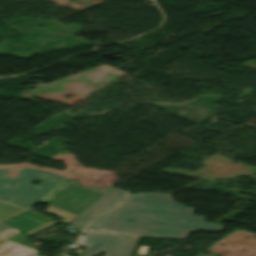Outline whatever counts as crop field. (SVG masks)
I'll return each instance as SVG.
<instances>
[{"label":"crop field","instance_id":"crop-field-3","mask_svg":"<svg viewBox=\"0 0 256 256\" xmlns=\"http://www.w3.org/2000/svg\"><path fill=\"white\" fill-rule=\"evenodd\" d=\"M109 188L79 187L76 182L65 180L40 201L50 203L46 212L66 219L61 220L64 223H70Z\"/></svg>","mask_w":256,"mask_h":256},{"label":"crop field","instance_id":"crop-field-4","mask_svg":"<svg viewBox=\"0 0 256 256\" xmlns=\"http://www.w3.org/2000/svg\"><path fill=\"white\" fill-rule=\"evenodd\" d=\"M78 243L86 247L83 256L104 253V256H131L139 237L108 234L100 232H83Z\"/></svg>","mask_w":256,"mask_h":256},{"label":"crop field","instance_id":"crop-field-7","mask_svg":"<svg viewBox=\"0 0 256 256\" xmlns=\"http://www.w3.org/2000/svg\"><path fill=\"white\" fill-rule=\"evenodd\" d=\"M35 253H37V250L24 247L9 241L0 245V256H31Z\"/></svg>","mask_w":256,"mask_h":256},{"label":"crop field","instance_id":"crop-field-8","mask_svg":"<svg viewBox=\"0 0 256 256\" xmlns=\"http://www.w3.org/2000/svg\"><path fill=\"white\" fill-rule=\"evenodd\" d=\"M23 211L25 210L22 208L6 203H0V222H3Z\"/></svg>","mask_w":256,"mask_h":256},{"label":"crop field","instance_id":"crop-field-10","mask_svg":"<svg viewBox=\"0 0 256 256\" xmlns=\"http://www.w3.org/2000/svg\"><path fill=\"white\" fill-rule=\"evenodd\" d=\"M8 228H10V227H8V226H6V225L0 223V232L6 230V229H8Z\"/></svg>","mask_w":256,"mask_h":256},{"label":"crop field","instance_id":"crop-field-5","mask_svg":"<svg viewBox=\"0 0 256 256\" xmlns=\"http://www.w3.org/2000/svg\"><path fill=\"white\" fill-rule=\"evenodd\" d=\"M125 193L126 191L111 187L75 220H73L71 224L84 229Z\"/></svg>","mask_w":256,"mask_h":256},{"label":"crop field","instance_id":"crop-field-9","mask_svg":"<svg viewBox=\"0 0 256 256\" xmlns=\"http://www.w3.org/2000/svg\"><path fill=\"white\" fill-rule=\"evenodd\" d=\"M18 232H20V231L11 228V229H9V230H7V231L1 233V234H0V242L3 241V240H5L6 238H8V237H10V236H12V235L18 233ZM20 233H21V232H20ZM18 234H19V233H18ZM16 235H17V234H16ZM14 236H15V235H14ZM12 237H13V236H12ZM10 238H11V237H10ZM8 239H9V238H8ZM6 240H7V239H6Z\"/></svg>","mask_w":256,"mask_h":256},{"label":"crop field","instance_id":"crop-field-2","mask_svg":"<svg viewBox=\"0 0 256 256\" xmlns=\"http://www.w3.org/2000/svg\"><path fill=\"white\" fill-rule=\"evenodd\" d=\"M8 173V171L0 169V200L25 208L30 207L65 178L29 168L20 171V178L16 179L6 177ZM42 175H45V177L43 178ZM32 180H42L43 182L34 186L29 183Z\"/></svg>","mask_w":256,"mask_h":256},{"label":"crop field","instance_id":"crop-field-1","mask_svg":"<svg viewBox=\"0 0 256 256\" xmlns=\"http://www.w3.org/2000/svg\"><path fill=\"white\" fill-rule=\"evenodd\" d=\"M193 210L173 202L171 195L128 193L89 228L166 239H186L188 232L194 231L222 230L221 224L205 223L203 216H192Z\"/></svg>","mask_w":256,"mask_h":256},{"label":"crop field","instance_id":"crop-field-6","mask_svg":"<svg viewBox=\"0 0 256 256\" xmlns=\"http://www.w3.org/2000/svg\"><path fill=\"white\" fill-rule=\"evenodd\" d=\"M13 218H17V220L12 221ZM13 218L3 223L30 235L57 224L49 218L28 211Z\"/></svg>","mask_w":256,"mask_h":256}]
</instances>
